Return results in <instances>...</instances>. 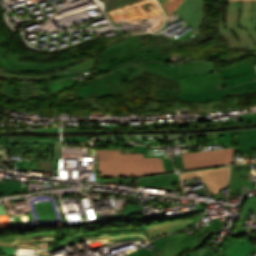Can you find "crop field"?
Segmentation results:
<instances>
[{
    "instance_id": "obj_15",
    "label": "crop field",
    "mask_w": 256,
    "mask_h": 256,
    "mask_svg": "<svg viewBox=\"0 0 256 256\" xmlns=\"http://www.w3.org/2000/svg\"><path fill=\"white\" fill-rule=\"evenodd\" d=\"M253 64L251 61L233 64L228 67L219 69L222 79H228L231 77L239 76L242 74L254 72Z\"/></svg>"
},
{
    "instance_id": "obj_29",
    "label": "crop field",
    "mask_w": 256,
    "mask_h": 256,
    "mask_svg": "<svg viewBox=\"0 0 256 256\" xmlns=\"http://www.w3.org/2000/svg\"><path fill=\"white\" fill-rule=\"evenodd\" d=\"M238 95H244V94H251L256 93V87L248 88V89H242V90H236Z\"/></svg>"
},
{
    "instance_id": "obj_35",
    "label": "crop field",
    "mask_w": 256,
    "mask_h": 256,
    "mask_svg": "<svg viewBox=\"0 0 256 256\" xmlns=\"http://www.w3.org/2000/svg\"><path fill=\"white\" fill-rule=\"evenodd\" d=\"M164 79H170V80H172V81H174V82H176V83L179 84V79H172V78H167V77H164ZM178 84H177V85H178Z\"/></svg>"
},
{
    "instance_id": "obj_20",
    "label": "crop field",
    "mask_w": 256,
    "mask_h": 256,
    "mask_svg": "<svg viewBox=\"0 0 256 256\" xmlns=\"http://www.w3.org/2000/svg\"><path fill=\"white\" fill-rule=\"evenodd\" d=\"M230 237L231 235L227 234L225 237L222 238L221 250L219 253L220 256H223L227 252V250L237 241V239H233Z\"/></svg>"
},
{
    "instance_id": "obj_8",
    "label": "crop field",
    "mask_w": 256,
    "mask_h": 256,
    "mask_svg": "<svg viewBox=\"0 0 256 256\" xmlns=\"http://www.w3.org/2000/svg\"><path fill=\"white\" fill-rule=\"evenodd\" d=\"M143 71L153 72L162 76L179 78L178 66L158 62H135L113 71L121 81L127 80Z\"/></svg>"
},
{
    "instance_id": "obj_28",
    "label": "crop field",
    "mask_w": 256,
    "mask_h": 256,
    "mask_svg": "<svg viewBox=\"0 0 256 256\" xmlns=\"http://www.w3.org/2000/svg\"><path fill=\"white\" fill-rule=\"evenodd\" d=\"M239 119H246V122H254V121H256V113L247 114V115H239Z\"/></svg>"
},
{
    "instance_id": "obj_41",
    "label": "crop field",
    "mask_w": 256,
    "mask_h": 256,
    "mask_svg": "<svg viewBox=\"0 0 256 256\" xmlns=\"http://www.w3.org/2000/svg\"><path fill=\"white\" fill-rule=\"evenodd\" d=\"M255 172H256V170H255Z\"/></svg>"
},
{
    "instance_id": "obj_9",
    "label": "crop field",
    "mask_w": 256,
    "mask_h": 256,
    "mask_svg": "<svg viewBox=\"0 0 256 256\" xmlns=\"http://www.w3.org/2000/svg\"><path fill=\"white\" fill-rule=\"evenodd\" d=\"M230 167L210 169L192 173H181V180H188L200 176L204 183L216 194L229 183Z\"/></svg>"
},
{
    "instance_id": "obj_17",
    "label": "crop field",
    "mask_w": 256,
    "mask_h": 256,
    "mask_svg": "<svg viewBox=\"0 0 256 256\" xmlns=\"http://www.w3.org/2000/svg\"><path fill=\"white\" fill-rule=\"evenodd\" d=\"M237 135L238 143L236 152L248 151L250 149L256 148V129L237 131Z\"/></svg>"
},
{
    "instance_id": "obj_2",
    "label": "crop field",
    "mask_w": 256,
    "mask_h": 256,
    "mask_svg": "<svg viewBox=\"0 0 256 256\" xmlns=\"http://www.w3.org/2000/svg\"><path fill=\"white\" fill-rule=\"evenodd\" d=\"M137 37L138 35L127 38L125 39L127 42L100 52L96 71H111L136 60L169 61L170 54L161 50V47H153L133 40Z\"/></svg>"
},
{
    "instance_id": "obj_21",
    "label": "crop field",
    "mask_w": 256,
    "mask_h": 256,
    "mask_svg": "<svg viewBox=\"0 0 256 256\" xmlns=\"http://www.w3.org/2000/svg\"><path fill=\"white\" fill-rule=\"evenodd\" d=\"M0 78H10V79H30V80H46L52 79L51 76H16L5 73H0Z\"/></svg>"
},
{
    "instance_id": "obj_27",
    "label": "crop field",
    "mask_w": 256,
    "mask_h": 256,
    "mask_svg": "<svg viewBox=\"0 0 256 256\" xmlns=\"http://www.w3.org/2000/svg\"><path fill=\"white\" fill-rule=\"evenodd\" d=\"M218 249H219V246L214 244L210 250L206 251L201 256H217Z\"/></svg>"
},
{
    "instance_id": "obj_11",
    "label": "crop field",
    "mask_w": 256,
    "mask_h": 256,
    "mask_svg": "<svg viewBox=\"0 0 256 256\" xmlns=\"http://www.w3.org/2000/svg\"><path fill=\"white\" fill-rule=\"evenodd\" d=\"M200 219L201 218L195 214L193 216H190L182 220L148 226L147 227L148 241L156 237H159L161 235L187 229L193 224L197 223Z\"/></svg>"
},
{
    "instance_id": "obj_6",
    "label": "crop field",
    "mask_w": 256,
    "mask_h": 256,
    "mask_svg": "<svg viewBox=\"0 0 256 256\" xmlns=\"http://www.w3.org/2000/svg\"><path fill=\"white\" fill-rule=\"evenodd\" d=\"M125 87L115 74L73 90L75 97H82L83 103L90 102V97L114 96L125 91Z\"/></svg>"
},
{
    "instance_id": "obj_5",
    "label": "crop field",
    "mask_w": 256,
    "mask_h": 256,
    "mask_svg": "<svg viewBox=\"0 0 256 256\" xmlns=\"http://www.w3.org/2000/svg\"><path fill=\"white\" fill-rule=\"evenodd\" d=\"M222 224L223 222L216 217L209 226L205 225L191 236L177 233L157 238L151 243L164 252L158 256H181L184 250L202 246L215 231L222 227Z\"/></svg>"
},
{
    "instance_id": "obj_13",
    "label": "crop field",
    "mask_w": 256,
    "mask_h": 256,
    "mask_svg": "<svg viewBox=\"0 0 256 256\" xmlns=\"http://www.w3.org/2000/svg\"><path fill=\"white\" fill-rule=\"evenodd\" d=\"M215 71L216 69L213 62L207 61L192 62L179 66L180 77L212 73Z\"/></svg>"
},
{
    "instance_id": "obj_39",
    "label": "crop field",
    "mask_w": 256,
    "mask_h": 256,
    "mask_svg": "<svg viewBox=\"0 0 256 256\" xmlns=\"http://www.w3.org/2000/svg\"><path fill=\"white\" fill-rule=\"evenodd\" d=\"M217 1H227V0H217Z\"/></svg>"
},
{
    "instance_id": "obj_4",
    "label": "crop field",
    "mask_w": 256,
    "mask_h": 256,
    "mask_svg": "<svg viewBox=\"0 0 256 256\" xmlns=\"http://www.w3.org/2000/svg\"><path fill=\"white\" fill-rule=\"evenodd\" d=\"M101 176H146L143 154L121 155L120 150H97Z\"/></svg>"
},
{
    "instance_id": "obj_37",
    "label": "crop field",
    "mask_w": 256,
    "mask_h": 256,
    "mask_svg": "<svg viewBox=\"0 0 256 256\" xmlns=\"http://www.w3.org/2000/svg\"><path fill=\"white\" fill-rule=\"evenodd\" d=\"M191 250H193V249H191ZM187 251H189V250H187ZM187 251H185L182 256H187Z\"/></svg>"
},
{
    "instance_id": "obj_32",
    "label": "crop field",
    "mask_w": 256,
    "mask_h": 256,
    "mask_svg": "<svg viewBox=\"0 0 256 256\" xmlns=\"http://www.w3.org/2000/svg\"><path fill=\"white\" fill-rule=\"evenodd\" d=\"M159 1H160L161 5L163 6L165 12H166L165 7L168 6L173 0H159ZM166 14H167V12H166Z\"/></svg>"
},
{
    "instance_id": "obj_19",
    "label": "crop field",
    "mask_w": 256,
    "mask_h": 256,
    "mask_svg": "<svg viewBox=\"0 0 256 256\" xmlns=\"http://www.w3.org/2000/svg\"><path fill=\"white\" fill-rule=\"evenodd\" d=\"M33 85L34 84L23 82L17 99L23 101L29 100L31 97Z\"/></svg>"
},
{
    "instance_id": "obj_38",
    "label": "crop field",
    "mask_w": 256,
    "mask_h": 256,
    "mask_svg": "<svg viewBox=\"0 0 256 256\" xmlns=\"http://www.w3.org/2000/svg\"><path fill=\"white\" fill-rule=\"evenodd\" d=\"M252 62H253V64H256V60H253Z\"/></svg>"
},
{
    "instance_id": "obj_3",
    "label": "crop field",
    "mask_w": 256,
    "mask_h": 256,
    "mask_svg": "<svg viewBox=\"0 0 256 256\" xmlns=\"http://www.w3.org/2000/svg\"><path fill=\"white\" fill-rule=\"evenodd\" d=\"M240 3L241 2H228L227 14H226V22H227V30H223V25L221 21V16L219 19V23L217 25V32L226 39L229 43V47H239V48H249L251 53L242 54L237 52L230 56L220 57L219 62L228 61L235 58H241L249 55L256 56V28L251 29H243L239 30L238 28V16L240 12ZM221 10L222 6L219 2Z\"/></svg>"
},
{
    "instance_id": "obj_31",
    "label": "crop field",
    "mask_w": 256,
    "mask_h": 256,
    "mask_svg": "<svg viewBox=\"0 0 256 256\" xmlns=\"http://www.w3.org/2000/svg\"><path fill=\"white\" fill-rule=\"evenodd\" d=\"M182 0H174L167 8L168 14H170L180 3Z\"/></svg>"
},
{
    "instance_id": "obj_30",
    "label": "crop field",
    "mask_w": 256,
    "mask_h": 256,
    "mask_svg": "<svg viewBox=\"0 0 256 256\" xmlns=\"http://www.w3.org/2000/svg\"><path fill=\"white\" fill-rule=\"evenodd\" d=\"M40 170H52V161L41 160Z\"/></svg>"
},
{
    "instance_id": "obj_36",
    "label": "crop field",
    "mask_w": 256,
    "mask_h": 256,
    "mask_svg": "<svg viewBox=\"0 0 256 256\" xmlns=\"http://www.w3.org/2000/svg\"><path fill=\"white\" fill-rule=\"evenodd\" d=\"M228 1H254V2H256V0H228Z\"/></svg>"
},
{
    "instance_id": "obj_24",
    "label": "crop field",
    "mask_w": 256,
    "mask_h": 256,
    "mask_svg": "<svg viewBox=\"0 0 256 256\" xmlns=\"http://www.w3.org/2000/svg\"><path fill=\"white\" fill-rule=\"evenodd\" d=\"M157 94L159 96H165L166 98H169L171 96L178 98L179 99V94L176 93L175 90H171V89H167L166 91H162V90H159L157 91Z\"/></svg>"
},
{
    "instance_id": "obj_10",
    "label": "crop field",
    "mask_w": 256,
    "mask_h": 256,
    "mask_svg": "<svg viewBox=\"0 0 256 256\" xmlns=\"http://www.w3.org/2000/svg\"><path fill=\"white\" fill-rule=\"evenodd\" d=\"M72 62H69V63L56 62V63H49V64L25 62V61H20V56L12 55L9 53L0 61V66H2L4 70H8V71L44 72V71H48L57 67L70 64Z\"/></svg>"
},
{
    "instance_id": "obj_7",
    "label": "crop field",
    "mask_w": 256,
    "mask_h": 256,
    "mask_svg": "<svg viewBox=\"0 0 256 256\" xmlns=\"http://www.w3.org/2000/svg\"><path fill=\"white\" fill-rule=\"evenodd\" d=\"M234 148L182 153L185 169L233 163Z\"/></svg>"
},
{
    "instance_id": "obj_25",
    "label": "crop field",
    "mask_w": 256,
    "mask_h": 256,
    "mask_svg": "<svg viewBox=\"0 0 256 256\" xmlns=\"http://www.w3.org/2000/svg\"><path fill=\"white\" fill-rule=\"evenodd\" d=\"M238 170H239V165L235 166V173H234V180H233V189L232 192L236 194H242L240 189H237V182H238Z\"/></svg>"
},
{
    "instance_id": "obj_18",
    "label": "crop field",
    "mask_w": 256,
    "mask_h": 256,
    "mask_svg": "<svg viewBox=\"0 0 256 256\" xmlns=\"http://www.w3.org/2000/svg\"><path fill=\"white\" fill-rule=\"evenodd\" d=\"M254 245L248 239L238 240L224 256H242Z\"/></svg>"
},
{
    "instance_id": "obj_1",
    "label": "crop field",
    "mask_w": 256,
    "mask_h": 256,
    "mask_svg": "<svg viewBox=\"0 0 256 256\" xmlns=\"http://www.w3.org/2000/svg\"><path fill=\"white\" fill-rule=\"evenodd\" d=\"M223 86V88H221ZM256 86V72L221 81L217 72L180 78V100L208 101L237 95L234 89Z\"/></svg>"
},
{
    "instance_id": "obj_34",
    "label": "crop field",
    "mask_w": 256,
    "mask_h": 256,
    "mask_svg": "<svg viewBox=\"0 0 256 256\" xmlns=\"http://www.w3.org/2000/svg\"><path fill=\"white\" fill-rule=\"evenodd\" d=\"M250 252L256 253V247L254 246L252 249H250L247 253H245L243 256H248Z\"/></svg>"
},
{
    "instance_id": "obj_26",
    "label": "crop field",
    "mask_w": 256,
    "mask_h": 256,
    "mask_svg": "<svg viewBox=\"0 0 256 256\" xmlns=\"http://www.w3.org/2000/svg\"><path fill=\"white\" fill-rule=\"evenodd\" d=\"M126 256H153L144 247Z\"/></svg>"
},
{
    "instance_id": "obj_12",
    "label": "crop field",
    "mask_w": 256,
    "mask_h": 256,
    "mask_svg": "<svg viewBox=\"0 0 256 256\" xmlns=\"http://www.w3.org/2000/svg\"><path fill=\"white\" fill-rule=\"evenodd\" d=\"M177 9L181 11L183 19L198 30L204 17L203 0H184Z\"/></svg>"
},
{
    "instance_id": "obj_14",
    "label": "crop field",
    "mask_w": 256,
    "mask_h": 256,
    "mask_svg": "<svg viewBox=\"0 0 256 256\" xmlns=\"http://www.w3.org/2000/svg\"><path fill=\"white\" fill-rule=\"evenodd\" d=\"M256 27V3L242 2L239 17V28Z\"/></svg>"
},
{
    "instance_id": "obj_23",
    "label": "crop field",
    "mask_w": 256,
    "mask_h": 256,
    "mask_svg": "<svg viewBox=\"0 0 256 256\" xmlns=\"http://www.w3.org/2000/svg\"><path fill=\"white\" fill-rule=\"evenodd\" d=\"M246 181H247L246 164H242V165H240L238 188H241V186H242Z\"/></svg>"
},
{
    "instance_id": "obj_33",
    "label": "crop field",
    "mask_w": 256,
    "mask_h": 256,
    "mask_svg": "<svg viewBox=\"0 0 256 256\" xmlns=\"http://www.w3.org/2000/svg\"><path fill=\"white\" fill-rule=\"evenodd\" d=\"M9 52H7V51H5L4 49H2L1 47H0V60L5 56V55H7Z\"/></svg>"
},
{
    "instance_id": "obj_22",
    "label": "crop field",
    "mask_w": 256,
    "mask_h": 256,
    "mask_svg": "<svg viewBox=\"0 0 256 256\" xmlns=\"http://www.w3.org/2000/svg\"><path fill=\"white\" fill-rule=\"evenodd\" d=\"M250 209L256 211V198H255V196H252L251 198H249L247 200V202L245 204V208L241 212V215L246 217V215L248 214Z\"/></svg>"
},
{
    "instance_id": "obj_40",
    "label": "crop field",
    "mask_w": 256,
    "mask_h": 256,
    "mask_svg": "<svg viewBox=\"0 0 256 256\" xmlns=\"http://www.w3.org/2000/svg\"><path fill=\"white\" fill-rule=\"evenodd\" d=\"M255 69H256V65H254Z\"/></svg>"
},
{
    "instance_id": "obj_16",
    "label": "crop field",
    "mask_w": 256,
    "mask_h": 256,
    "mask_svg": "<svg viewBox=\"0 0 256 256\" xmlns=\"http://www.w3.org/2000/svg\"><path fill=\"white\" fill-rule=\"evenodd\" d=\"M140 180H141L142 186H138V187L142 188V189H148V188H153V187H163V186H167L169 184L179 182L178 175H176V174L143 178Z\"/></svg>"
}]
</instances>
